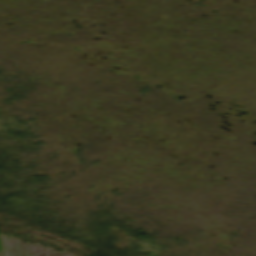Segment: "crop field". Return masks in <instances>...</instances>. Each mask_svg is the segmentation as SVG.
I'll return each mask as SVG.
<instances>
[{
	"label": "crop field",
	"mask_w": 256,
	"mask_h": 256,
	"mask_svg": "<svg viewBox=\"0 0 256 256\" xmlns=\"http://www.w3.org/2000/svg\"><path fill=\"white\" fill-rule=\"evenodd\" d=\"M0 256H3V254L0 252Z\"/></svg>",
	"instance_id": "8a807250"
}]
</instances>
